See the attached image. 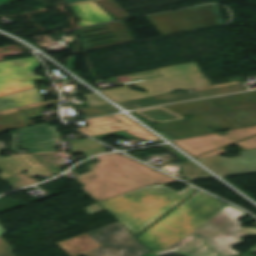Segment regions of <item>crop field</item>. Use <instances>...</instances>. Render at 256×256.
I'll list each match as a JSON object with an SVG mask.
<instances>
[{
	"label": "crop field",
	"mask_w": 256,
	"mask_h": 256,
	"mask_svg": "<svg viewBox=\"0 0 256 256\" xmlns=\"http://www.w3.org/2000/svg\"><path fill=\"white\" fill-rule=\"evenodd\" d=\"M100 162L90 164L91 171L76 179L97 202L150 184L177 180L118 153L96 157Z\"/></svg>",
	"instance_id": "8a807250"
},
{
	"label": "crop field",
	"mask_w": 256,
	"mask_h": 256,
	"mask_svg": "<svg viewBox=\"0 0 256 256\" xmlns=\"http://www.w3.org/2000/svg\"><path fill=\"white\" fill-rule=\"evenodd\" d=\"M245 213L226 206L182 240L157 256H232L239 254L230 247L242 242L239 237L256 236V228H240L238 218Z\"/></svg>",
	"instance_id": "ac0d7876"
},
{
	"label": "crop field",
	"mask_w": 256,
	"mask_h": 256,
	"mask_svg": "<svg viewBox=\"0 0 256 256\" xmlns=\"http://www.w3.org/2000/svg\"><path fill=\"white\" fill-rule=\"evenodd\" d=\"M195 190L188 186L178 193L162 185H151L100 204L136 236Z\"/></svg>",
	"instance_id": "34b2d1b8"
},
{
	"label": "crop field",
	"mask_w": 256,
	"mask_h": 256,
	"mask_svg": "<svg viewBox=\"0 0 256 256\" xmlns=\"http://www.w3.org/2000/svg\"><path fill=\"white\" fill-rule=\"evenodd\" d=\"M226 205L198 191L137 237L156 254L182 239Z\"/></svg>",
	"instance_id": "412701ff"
},
{
	"label": "crop field",
	"mask_w": 256,
	"mask_h": 256,
	"mask_svg": "<svg viewBox=\"0 0 256 256\" xmlns=\"http://www.w3.org/2000/svg\"><path fill=\"white\" fill-rule=\"evenodd\" d=\"M56 244L71 256H141L149 252L118 222ZM10 249L0 237V256H14Z\"/></svg>",
	"instance_id": "f4fd0767"
},
{
	"label": "crop field",
	"mask_w": 256,
	"mask_h": 256,
	"mask_svg": "<svg viewBox=\"0 0 256 256\" xmlns=\"http://www.w3.org/2000/svg\"><path fill=\"white\" fill-rule=\"evenodd\" d=\"M162 35L225 24L217 5H205L147 17Z\"/></svg>",
	"instance_id": "dd49c442"
},
{
	"label": "crop field",
	"mask_w": 256,
	"mask_h": 256,
	"mask_svg": "<svg viewBox=\"0 0 256 256\" xmlns=\"http://www.w3.org/2000/svg\"><path fill=\"white\" fill-rule=\"evenodd\" d=\"M40 64L36 57L0 62V96L33 88V81H42L33 72Z\"/></svg>",
	"instance_id": "e52e79f7"
},
{
	"label": "crop field",
	"mask_w": 256,
	"mask_h": 256,
	"mask_svg": "<svg viewBox=\"0 0 256 256\" xmlns=\"http://www.w3.org/2000/svg\"><path fill=\"white\" fill-rule=\"evenodd\" d=\"M228 133L229 134L224 137L214 134L175 141L173 143H175L177 146H179L191 156L195 157L256 134V126L233 130L229 131ZM238 144L242 146L245 150L256 148V136L238 142Z\"/></svg>",
	"instance_id": "d8731c3e"
},
{
	"label": "crop field",
	"mask_w": 256,
	"mask_h": 256,
	"mask_svg": "<svg viewBox=\"0 0 256 256\" xmlns=\"http://www.w3.org/2000/svg\"><path fill=\"white\" fill-rule=\"evenodd\" d=\"M230 83L217 85V86H208L204 88H199L196 92L184 93V94H164L155 97L145 98L141 100L120 103L126 109H137L146 106L166 104L174 101H183L196 98H202L207 96L232 93L241 91L242 88L239 83L245 82L242 78L230 80Z\"/></svg>",
	"instance_id": "5a996713"
},
{
	"label": "crop field",
	"mask_w": 256,
	"mask_h": 256,
	"mask_svg": "<svg viewBox=\"0 0 256 256\" xmlns=\"http://www.w3.org/2000/svg\"><path fill=\"white\" fill-rule=\"evenodd\" d=\"M190 120L205 128L221 127L225 130L252 126L256 125V106L194 117Z\"/></svg>",
	"instance_id": "3316defc"
},
{
	"label": "crop field",
	"mask_w": 256,
	"mask_h": 256,
	"mask_svg": "<svg viewBox=\"0 0 256 256\" xmlns=\"http://www.w3.org/2000/svg\"><path fill=\"white\" fill-rule=\"evenodd\" d=\"M22 148L31 153L55 152L58 134L55 126L48 124L18 129Z\"/></svg>",
	"instance_id": "28ad6ade"
},
{
	"label": "crop field",
	"mask_w": 256,
	"mask_h": 256,
	"mask_svg": "<svg viewBox=\"0 0 256 256\" xmlns=\"http://www.w3.org/2000/svg\"><path fill=\"white\" fill-rule=\"evenodd\" d=\"M100 28H103L104 30L81 34V32L100 29ZM78 31L82 37V39H80V40L82 42L84 51L90 50V49H95V48H100V47H104V46L134 41L131 34L129 33L126 26L124 25L123 21L106 24V25H101V26H96V27L80 29ZM106 32H109L110 34L84 38L87 36H92V35L106 33ZM110 37H113V38H110ZM104 38H110V39H105V40H101V41L88 43L89 41H92V40H98V39H104Z\"/></svg>",
	"instance_id": "d1516ede"
},
{
	"label": "crop field",
	"mask_w": 256,
	"mask_h": 256,
	"mask_svg": "<svg viewBox=\"0 0 256 256\" xmlns=\"http://www.w3.org/2000/svg\"><path fill=\"white\" fill-rule=\"evenodd\" d=\"M239 153L241 156L231 159L213 156L199 161L220 175L256 171V149Z\"/></svg>",
	"instance_id": "22f410ed"
},
{
	"label": "crop field",
	"mask_w": 256,
	"mask_h": 256,
	"mask_svg": "<svg viewBox=\"0 0 256 256\" xmlns=\"http://www.w3.org/2000/svg\"><path fill=\"white\" fill-rule=\"evenodd\" d=\"M0 178L4 179L21 171L28 170L31 176H53L32 155H21L0 159Z\"/></svg>",
	"instance_id": "cbeb9de0"
},
{
	"label": "crop field",
	"mask_w": 256,
	"mask_h": 256,
	"mask_svg": "<svg viewBox=\"0 0 256 256\" xmlns=\"http://www.w3.org/2000/svg\"><path fill=\"white\" fill-rule=\"evenodd\" d=\"M72 8L80 19L78 24L81 27L114 20L95 1L73 5Z\"/></svg>",
	"instance_id": "5142ce71"
},
{
	"label": "crop field",
	"mask_w": 256,
	"mask_h": 256,
	"mask_svg": "<svg viewBox=\"0 0 256 256\" xmlns=\"http://www.w3.org/2000/svg\"><path fill=\"white\" fill-rule=\"evenodd\" d=\"M165 108L174 111L180 115L194 116L227 111L226 109L215 105L210 99L165 106Z\"/></svg>",
	"instance_id": "d9b57169"
},
{
	"label": "crop field",
	"mask_w": 256,
	"mask_h": 256,
	"mask_svg": "<svg viewBox=\"0 0 256 256\" xmlns=\"http://www.w3.org/2000/svg\"><path fill=\"white\" fill-rule=\"evenodd\" d=\"M41 101L39 93L34 88L0 97V111Z\"/></svg>",
	"instance_id": "733c2abd"
},
{
	"label": "crop field",
	"mask_w": 256,
	"mask_h": 256,
	"mask_svg": "<svg viewBox=\"0 0 256 256\" xmlns=\"http://www.w3.org/2000/svg\"><path fill=\"white\" fill-rule=\"evenodd\" d=\"M215 104L228 110L256 105L255 91L229 95L224 97L212 98Z\"/></svg>",
	"instance_id": "4a817a6b"
},
{
	"label": "crop field",
	"mask_w": 256,
	"mask_h": 256,
	"mask_svg": "<svg viewBox=\"0 0 256 256\" xmlns=\"http://www.w3.org/2000/svg\"><path fill=\"white\" fill-rule=\"evenodd\" d=\"M28 126V118L24 112L0 117V131Z\"/></svg>",
	"instance_id": "bc2a9ffb"
},
{
	"label": "crop field",
	"mask_w": 256,
	"mask_h": 256,
	"mask_svg": "<svg viewBox=\"0 0 256 256\" xmlns=\"http://www.w3.org/2000/svg\"><path fill=\"white\" fill-rule=\"evenodd\" d=\"M43 165H45L54 175L61 172V165L57 154L34 155Z\"/></svg>",
	"instance_id": "214f88e0"
},
{
	"label": "crop field",
	"mask_w": 256,
	"mask_h": 256,
	"mask_svg": "<svg viewBox=\"0 0 256 256\" xmlns=\"http://www.w3.org/2000/svg\"><path fill=\"white\" fill-rule=\"evenodd\" d=\"M97 2L117 20L130 17L112 0H98Z\"/></svg>",
	"instance_id": "92a150f3"
},
{
	"label": "crop field",
	"mask_w": 256,
	"mask_h": 256,
	"mask_svg": "<svg viewBox=\"0 0 256 256\" xmlns=\"http://www.w3.org/2000/svg\"><path fill=\"white\" fill-rule=\"evenodd\" d=\"M182 174L189 179L211 176L190 161L183 164Z\"/></svg>",
	"instance_id": "dafd665d"
},
{
	"label": "crop field",
	"mask_w": 256,
	"mask_h": 256,
	"mask_svg": "<svg viewBox=\"0 0 256 256\" xmlns=\"http://www.w3.org/2000/svg\"><path fill=\"white\" fill-rule=\"evenodd\" d=\"M4 180L8 182L13 189L37 183L35 179L30 178L29 176L22 173L6 178Z\"/></svg>",
	"instance_id": "00972430"
},
{
	"label": "crop field",
	"mask_w": 256,
	"mask_h": 256,
	"mask_svg": "<svg viewBox=\"0 0 256 256\" xmlns=\"http://www.w3.org/2000/svg\"><path fill=\"white\" fill-rule=\"evenodd\" d=\"M73 154H81L85 157L95 155L99 152H105V147L95 143L84 147L72 149Z\"/></svg>",
	"instance_id": "a9b5d70f"
},
{
	"label": "crop field",
	"mask_w": 256,
	"mask_h": 256,
	"mask_svg": "<svg viewBox=\"0 0 256 256\" xmlns=\"http://www.w3.org/2000/svg\"><path fill=\"white\" fill-rule=\"evenodd\" d=\"M79 111L82 112L83 114H85L86 116L91 117V116L115 113V112H118L119 110L115 109L114 107H112L110 105H106V106L80 109Z\"/></svg>",
	"instance_id": "4177f3b9"
},
{
	"label": "crop field",
	"mask_w": 256,
	"mask_h": 256,
	"mask_svg": "<svg viewBox=\"0 0 256 256\" xmlns=\"http://www.w3.org/2000/svg\"><path fill=\"white\" fill-rule=\"evenodd\" d=\"M82 97L84 98V100L86 101L89 107L107 104L105 101H103L94 93L83 94Z\"/></svg>",
	"instance_id": "730fd06b"
},
{
	"label": "crop field",
	"mask_w": 256,
	"mask_h": 256,
	"mask_svg": "<svg viewBox=\"0 0 256 256\" xmlns=\"http://www.w3.org/2000/svg\"><path fill=\"white\" fill-rule=\"evenodd\" d=\"M55 102H57V99L51 100V101H46V102H41V103H36V104H31V105H27V106L17 107V108L1 111L0 115L15 112V111H20V110H24V109H29V108H33V107H38V106H42V105H47V104H51V103H55Z\"/></svg>",
	"instance_id": "eef30255"
},
{
	"label": "crop field",
	"mask_w": 256,
	"mask_h": 256,
	"mask_svg": "<svg viewBox=\"0 0 256 256\" xmlns=\"http://www.w3.org/2000/svg\"><path fill=\"white\" fill-rule=\"evenodd\" d=\"M10 135H11V140H12V143H10V146L15 154L29 153L26 150H19L15 132L10 133Z\"/></svg>",
	"instance_id": "ae1a2a85"
},
{
	"label": "crop field",
	"mask_w": 256,
	"mask_h": 256,
	"mask_svg": "<svg viewBox=\"0 0 256 256\" xmlns=\"http://www.w3.org/2000/svg\"><path fill=\"white\" fill-rule=\"evenodd\" d=\"M159 169L173 175L175 173L178 172L179 168H180V164H173V165H167V166H161L158 167Z\"/></svg>",
	"instance_id": "d3111659"
},
{
	"label": "crop field",
	"mask_w": 256,
	"mask_h": 256,
	"mask_svg": "<svg viewBox=\"0 0 256 256\" xmlns=\"http://www.w3.org/2000/svg\"><path fill=\"white\" fill-rule=\"evenodd\" d=\"M71 143H72V146H70V148L72 149V148L80 147V146L95 143V142L90 139H85V140H73L71 141Z\"/></svg>",
	"instance_id": "750c4746"
},
{
	"label": "crop field",
	"mask_w": 256,
	"mask_h": 256,
	"mask_svg": "<svg viewBox=\"0 0 256 256\" xmlns=\"http://www.w3.org/2000/svg\"><path fill=\"white\" fill-rule=\"evenodd\" d=\"M85 209L88 210V213H86L87 215L93 214L96 212H100V211H104V209L102 207H100L97 203L87 206V207H85Z\"/></svg>",
	"instance_id": "bd1437ed"
},
{
	"label": "crop field",
	"mask_w": 256,
	"mask_h": 256,
	"mask_svg": "<svg viewBox=\"0 0 256 256\" xmlns=\"http://www.w3.org/2000/svg\"><path fill=\"white\" fill-rule=\"evenodd\" d=\"M41 109L42 108L36 109V110L27 111L26 113L29 115L30 119L40 118V117H43Z\"/></svg>",
	"instance_id": "1d83c4d3"
},
{
	"label": "crop field",
	"mask_w": 256,
	"mask_h": 256,
	"mask_svg": "<svg viewBox=\"0 0 256 256\" xmlns=\"http://www.w3.org/2000/svg\"><path fill=\"white\" fill-rule=\"evenodd\" d=\"M224 152H226V151H224L223 149H221V150L216 151V152H213V153L205 154V155H203V156H201V157H199V158H204V157L213 156V155H219V154H222V153H224ZM199 158H197V159H199Z\"/></svg>",
	"instance_id": "120bbe31"
},
{
	"label": "crop field",
	"mask_w": 256,
	"mask_h": 256,
	"mask_svg": "<svg viewBox=\"0 0 256 256\" xmlns=\"http://www.w3.org/2000/svg\"><path fill=\"white\" fill-rule=\"evenodd\" d=\"M4 131H1L0 133H2ZM7 147V146H6ZM5 147V145L2 143V141H0V154L2 151H5V150H8L7 148ZM0 158H5L3 156H0Z\"/></svg>",
	"instance_id": "d32e631a"
},
{
	"label": "crop field",
	"mask_w": 256,
	"mask_h": 256,
	"mask_svg": "<svg viewBox=\"0 0 256 256\" xmlns=\"http://www.w3.org/2000/svg\"><path fill=\"white\" fill-rule=\"evenodd\" d=\"M69 4L72 3H77V2H81V1H86V0H67Z\"/></svg>",
	"instance_id": "5866460e"
},
{
	"label": "crop field",
	"mask_w": 256,
	"mask_h": 256,
	"mask_svg": "<svg viewBox=\"0 0 256 256\" xmlns=\"http://www.w3.org/2000/svg\"><path fill=\"white\" fill-rule=\"evenodd\" d=\"M5 232V230H3L1 227H0V236L3 235Z\"/></svg>",
	"instance_id": "028f5c9d"
},
{
	"label": "crop field",
	"mask_w": 256,
	"mask_h": 256,
	"mask_svg": "<svg viewBox=\"0 0 256 256\" xmlns=\"http://www.w3.org/2000/svg\"><path fill=\"white\" fill-rule=\"evenodd\" d=\"M7 1H9V0H0V5L7 2Z\"/></svg>",
	"instance_id": "e1f06a70"
},
{
	"label": "crop field",
	"mask_w": 256,
	"mask_h": 256,
	"mask_svg": "<svg viewBox=\"0 0 256 256\" xmlns=\"http://www.w3.org/2000/svg\"><path fill=\"white\" fill-rule=\"evenodd\" d=\"M146 256H156V255H154V254L151 252L150 254H148V255H146Z\"/></svg>",
	"instance_id": "0bd39190"
}]
</instances>
